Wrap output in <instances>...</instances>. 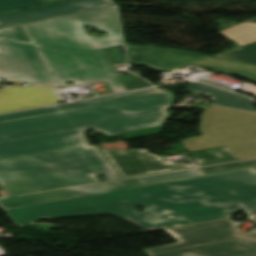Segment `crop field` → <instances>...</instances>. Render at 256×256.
Segmentation results:
<instances>
[{"label": "crop field", "mask_w": 256, "mask_h": 256, "mask_svg": "<svg viewBox=\"0 0 256 256\" xmlns=\"http://www.w3.org/2000/svg\"><path fill=\"white\" fill-rule=\"evenodd\" d=\"M137 206L145 211L137 213ZM239 210L247 214L256 210V167L5 211L20 227L39 219L111 214L158 229L228 218Z\"/></svg>", "instance_id": "8a807250"}, {"label": "crop field", "mask_w": 256, "mask_h": 256, "mask_svg": "<svg viewBox=\"0 0 256 256\" xmlns=\"http://www.w3.org/2000/svg\"><path fill=\"white\" fill-rule=\"evenodd\" d=\"M170 91L158 88L98 98L97 106L0 122V157H24L74 148L96 176L121 178L84 132L121 133L126 139L160 133L171 118Z\"/></svg>", "instance_id": "ac0d7876"}, {"label": "crop field", "mask_w": 256, "mask_h": 256, "mask_svg": "<svg viewBox=\"0 0 256 256\" xmlns=\"http://www.w3.org/2000/svg\"><path fill=\"white\" fill-rule=\"evenodd\" d=\"M82 24L108 36L89 37ZM58 85L107 82L112 92L125 90L101 48L124 44L117 5L24 25Z\"/></svg>", "instance_id": "34b2d1b8"}, {"label": "crop field", "mask_w": 256, "mask_h": 256, "mask_svg": "<svg viewBox=\"0 0 256 256\" xmlns=\"http://www.w3.org/2000/svg\"><path fill=\"white\" fill-rule=\"evenodd\" d=\"M96 181L74 149L0 161V196Z\"/></svg>", "instance_id": "412701ff"}, {"label": "crop field", "mask_w": 256, "mask_h": 256, "mask_svg": "<svg viewBox=\"0 0 256 256\" xmlns=\"http://www.w3.org/2000/svg\"><path fill=\"white\" fill-rule=\"evenodd\" d=\"M177 243L143 250L146 256H155L226 241L256 248V228L249 233L238 230L237 224L229 220L164 230Z\"/></svg>", "instance_id": "f4fd0767"}, {"label": "crop field", "mask_w": 256, "mask_h": 256, "mask_svg": "<svg viewBox=\"0 0 256 256\" xmlns=\"http://www.w3.org/2000/svg\"><path fill=\"white\" fill-rule=\"evenodd\" d=\"M0 77L28 85H57L34 44L0 39ZM8 87L0 86V90Z\"/></svg>", "instance_id": "dd49c442"}, {"label": "crop field", "mask_w": 256, "mask_h": 256, "mask_svg": "<svg viewBox=\"0 0 256 256\" xmlns=\"http://www.w3.org/2000/svg\"><path fill=\"white\" fill-rule=\"evenodd\" d=\"M122 178L191 168L194 166L183 163H171L157 155L150 154L146 149L105 150L97 146Z\"/></svg>", "instance_id": "e52e79f7"}, {"label": "crop field", "mask_w": 256, "mask_h": 256, "mask_svg": "<svg viewBox=\"0 0 256 256\" xmlns=\"http://www.w3.org/2000/svg\"><path fill=\"white\" fill-rule=\"evenodd\" d=\"M144 185L143 182L140 180L139 177L124 179L119 181L113 182H105V183H98V184H91L85 186H78V187H71V188H64L58 190H51L45 192H38V193H31L25 195H18L12 197H5L0 198V207H10L16 205H23L71 196H78V195H85L91 193H98V192H105V191H112L136 186Z\"/></svg>", "instance_id": "d8731c3e"}, {"label": "crop field", "mask_w": 256, "mask_h": 256, "mask_svg": "<svg viewBox=\"0 0 256 256\" xmlns=\"http://www.w3.org/2000/svg\"><path fill=\"white\" fill-rule=\"evenodd\" d=\"M112 0H69L0 15V28L25 24L59 15L113 5Z\"/></svg>", "instance_id": "5a996713"}, {"label": "crop field", "mask_w": 256, "mask_h": 256, "mask_svg": "<svg viewBox=\"0 0 256 256\" xmlns=\"http://www.w3.org/2000/svg\"><path fill=\"white\" fill-rule=\"evenodd\" d=\"M130 63L145 64L158 70L177 67L209 56L187 51L127 46Z\"/></svg>", "instance_id": "3316defc"}, {"label": "crop field", "mask_w": 256, "mask_h": 256, "mask_svg": "<svg viewBox=\"0 0 256 256\" xmlns=\"http://www.w3.org/2000/svg\"><path fill=\"white\" fill-rule=\"evenodd\" d=\"M59 101L53 88L11 87L0 91V112L54 104Z\"/></svg>", "instance_id": "28ad6ade"}, {"label": "crop field", "mask_w": 256, "mask_h": 256, "mask_svg": "<svg viewBox=\"0 0 256 256\" xmlns=\"http://www.w3.org/2000/svg\"><path fill=\"white\" fill-rule=\"evenodd\" d=\"M186 91L194 95L211 97V104L214 105L256 111V108L252 106V102L248 98L207 85L188 83Z\"/></svg>", "instance_id": "d1516ede"}, {"label": "crop field", "mask_w": 256, "mask_h": 256, "mask_svg": "<svg viewBox=\"0 0 256 256\" xmlns=\"http://www.w3.org/2000/svg\"><path fill=\"white\" fill-rule=\"evenodd\" d=\"M166 256H256V250L227 243Z\"/></svg>", "instance_id": "22f410ed"}, {"label": "crop field", "mask_w": 256, "mask_h": 256, "mask_svg": "<svg viewBox=\"0 0 256 256\" xmlns=\"http://www.w3.org/2000/svg\"><path fill=\"white\" fill-rule=\"evenodd\" d=\"M191 158L197 166L237 160L227 146L194 151L191 152Z\"/></svg>", "instance_id": "cbeb9de0"}, {"label": "crop field", "mask_w": 256, "mask_h": 256, "mask_svg": "<svg viewBox=\"0 0 256 256\" xmlns=\"http://www.w3.org/2000/svg\"><path fill=\"white\" fill-rule=\"evenodd\" d=\"M93 105H96L95 100H88V101H84V102L66 104V105L56 106V107L38 108V109L30 110V111L0 115V121L36 116V115H41V114L53 113V112L82 108V107H88V106H93ZM0 160H2V158H0Z\"/></svg>", "instance_id": "5142ce71"}, {"label": "crop field", "mask_w": 256, "mask_h": 256, "mask_svg": "<svg viewBox=\"0 0 256 256\" xmlns=\"http://www.w3.org/2000/svg\"><path fill=\"white\" fill-rule=\"evenodd\" d=\"M219 32L241 46L256 41V24L254 23L244 22Z\"/></svg>", "instance_id": "d9b57169"}, {"label": "crop field", "mask_w": 256, "mask_h": 256, "mask_svg": "<svg viewBox=\"0 0 256 256\" xmlns=\"http://www.w3.org/2000/svg\"><path fill=\"white\" fill-rule=\"evenodd\" d=\"M204 175L196 169L140 177L145 185Z\"/></svg>", "instance_id": "733c2abd"}, {"label": "crop field", "mask_w": 256, "mask_h": 256, "mask_svg": "<svg viewBox=\"0 0 256 256\" xmlns=\"http://www.w3.org/2000/svg\"><path fill=\"white\" fill-rule=\"evenodd\" d=\"M216 57H222L256 65V42Z\"/></svg>", "instance_id": "4a817a6b"}, {"label": "crop field", "mask_w": 256, "mask_h": 256, "mask_svg": "<svg viewBox=\"0 0 256 256\" xmlns=\"http://www.w3.org/2000/svg\"><path fill=\"white\" fill-rule=\"evenodd\" d=\"M0 38L32 43L23 25L0 29Z\"/></svg>", "instance_id": "bc2a9ffb"}, {"label": "crop field", "mask_w": 256, "mask_h": 256, "mask_svg": "<svg viewBox=\"0 0 256 256\" xmlns=\"http://www.w3.org/2000/svg\"><path fill=\"white\" fill-rule=\"evenodd\" d=\"M44 4L40 0H0V13Z\"/></svg>", "instance_id": "214f88e0"}, {"label": "crop field", "mask_w": 256, "mask_h": 256, "mask_svg": "<svg viewBox=\"0 0 256 256\" xmlns=\"http://www.w3.org/2000/svg\"><path fill=\"white\" fill-rule=\"evenodd\" d=\"M120 77L124 82L125 86L128 88V90L149 86L147 81L143 80L140 77H136L132 74L120 75Z\"/></svg>", "instance_id": "92a150f3"}, {"label": "crop field", "mask_w": 256, "mask_h": 256, "mask_svg": "<svg viewBox=\"0 0 256 256\" xmlns=\"http://www.w3.org/2000/svg\"><path fill=\"white\" fill-rule=\"evenodd\" d=\"M239 168H241V166L238 164V162H235L227 165L201 168L198 170L204 174H212V173L225 172V171H230V170L239 169Z\"/></svg>", "instance_id": "dafd665d"}, {"label": "crop field", "mask_w": 256, "mask_h": 256, "mask_svg": "<svg viewBox=\"0 0 256 256\" xmlns=\"http://www.w3.org/2000/svg\"><path fill=\"white\" fill-rule=\"evenodd\" d=\"M104 51L108 54V56H109L113 65L127 63L126 55H125V53H121L119 47L112 48V49H107V50H104Z\"/></svg>", "instance_id": "00972430"}, {"label": "crop field", "mask_w": 256, "mask_h": 256, "mask_svg": "<svg viewBox=\"0 0 256 256\" xmlns=\"http://www.w3.org/2000/svg\"><path fill=\"white\" fill-rule=\"evenodd\" d=\"M239 164L242 166V168L253 167V166H256V159L241 161V162H239Z\"/></svg>", "instance_id": "a9b5d70f"}, {"label": "crop field", "mask_w": 256, "mask_h": 256, "mask_svg": "<svg viewBox=\"0 0 256 256\" xmlns=\"http://www.w3.org/2000/svg\"><path fill=\"white\" fill-rule=\"evenodd\" d=\"M47 4H50V3H55V2H59V1H64V0H41Z\"/></svg>", "instance_id": "4177f3b9"}, {"label": "crop field", "mask_w": 256, "mask_h": 256, "mask_svg": "<svg viewBox=\"0 0 256 256\" xmlns=\"http://www.w3.org/2000/svg\"><path fill=\"white\" fill-rule=\"evenodd\" d=\"M248 220L256 223V214L255 215H252V216H249V217H246ZM256 226V225H255Z\"/></svg>", "instance_id": "730fd06b"}, {"label": "crop field", "mask_w": 256, "mask_h": 256, "mask_svg": "<svg viewBox=\"0 0 256 256\" xmlns=\"http://www.w3.org/2000/svg\"><path fill=\"white\" fill-rule=\"evenodd\" d=\"M249 21H254V22H256V18H254V19H252V20H249Z\"/></svg>", "instance_id": "eef30255"}]
</instances>
